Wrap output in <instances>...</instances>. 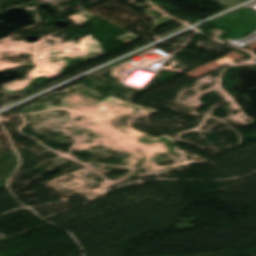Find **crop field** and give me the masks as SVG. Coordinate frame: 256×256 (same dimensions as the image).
<instances>
[{
    "label": "crop field",
    "mask_w": 256,
    "mask_h": 256,
    "mask_svg": "<svg viewBox=\"0 0 256 256\" xmlns=\"http://www.w3.org/2000/svg\"><path fill=\"white\" fill-rule=\"evenodd\" d=\"M214 2L220 4L221 6L227 8L237 2L243 1V0H213Z\"/></svg>",
    "instance_id": "obj_1"
}]
</instances>
